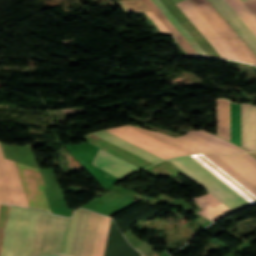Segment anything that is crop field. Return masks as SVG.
I'll use <instances>...</instances> for the list:
<instances>
[{
  "instance_id": "crop-field-1",
  "label": "crop field",
  "mask_w": 256,
  "mask_h": 256,
  "mask_svg": "<svg viewBox=\"0 0 256 256\" xmlns=\"http://www.w3.org/2000/svg\"><path fill=\"white\" fill-rule=\"evenodd\" d=\"M12 162L4 159L0 144V201L51 212L43 190L45 184L40 170L13 162L27 206Z\"/></svg>"
},
{
  "instance_id": "crop-field-2",
  "label": "crop field",
  "mask_w": 256,
  "mask_h": 256,
  "mask_svg": "<svg viewBox=\"0 0 256 256\" xmlns=\"http://www.w3.org/2000/svg\"><path fill=\"white\" fill-rule=\"evenodd\" d=\"M183 173L201 185L210 193L203 196L214 207L223 203L232 211L251 205L230 187L208 172L190 156L178 157L169 160Z\"/></svg>"
},
{
  "instance_id": "crop-field-3",
  "label": "crop field",
  "mask_w": 256,
  "mask_h": 256,
  "mask_svg": "<svg viewBox=\"0 0 256 256\" xmlns=\"http://www.w3.org/2000/svg\"><path fill=\"white\" fill-rule=\"evenodd\" d=\"M39 212L10 207L1 256H29Z\"/></svg>"
},
{
  "instance_id": "crop-field-4",
  "label": "crop field",
  "mask_w": 256,
  "mask_h": 256,
  "mask_svg": "<svg viewBox=\"0 0 256 256\" xmlns=\"http://www.w3.org/2000/svg\"><path fill=\"white\" fill-rule=\"evenodd\" d=\"M126 127L146 136L149 137L183 155H188V154H197V153H204V151L178 139L174 138L172 136L162 134L159 132L147 130V129H142L130 125H126ZM124 126L122 127H117V128H111V129H106L107 131L133 143L136 144L164 159H168L174 156H182Z\"/></svg>"
},
{
  "instance_id": "crop-field-5",
  "label": "crop field",
  "mask_w": 256,
  "mask_h": 256,
  "mask_svg": "<svg viewBox=\"0 0 256 256\" xmlns=\"http://www.w3.org/2000/svg\"><path fill=\"white\" fill-rule=\"evenodd\" d=\"M69 218L40 212L30 256L62 253Z\"/></svg>"
},
{
  "instance_id": "crop-field-6",
  "label": "crop field",
  "mask_w": 256,
  "mask_h": 256,
  "mask_svg": "<svg viewBox=\"0 0 256 256\" xmlns=\"http://www.w3.org/2000/svg\"><path fill=\"white\" fill-rule=\"evenodd\" d=\"M190 1L201 12V14L214 27V29L220 34V36L227 42V44L233 49V51L240 57L242 61L256 64L255 54L248 48V46L241 40V38L233 31V29L226 23V21L219 15V13L212 7V5L207 0H203V1L220 19V21L226 26V28L231 32V34L249 53V55L255 60V62L202 0H190Z\"/></svg>"
},
{
  "instance_id": "crop-field-7",
  "label": "crop field",
  "mask_w": 256,
  "mask_h": 256,
  "mask_svg": "<svg viewBox=\"0 0 256 256\" xmlns=\"http://www.w3.org/2000/svg\"><path fill=\"white\" fill-rule=\"evenodd\" d=\"M179 8L222 58L241 61L239 57L232 51V49L225 43V41L218 35V33L212 28V26L205 20V18L198 12V10L191 4V2L181 5Z\"/></svg>"
},
{
  "instance_id": "crop-field-8",
  "label": "crop field",
  "mask_w": 256,
  "mask_h": 256,
  "mask_svg": "<svg viewBox=\"0 0 256 256\" xmlns=\"http://www.w3.org/2000/svg\"><path fill=\"white\" fill-rule=\"evenodd\" d=\"M100 215L91 211L82 256H90ZM111 219L101 215L91 256H103Z\"/></svg>"
},
{
  "instance_id": "crop-field-9",
  "label": "crop field",
  "mask_w": 256,
  "mask_h": 256,
  "mask_svg": "<svg viewBox=\"0 0 256 256\" xmlns=\"http://www.w3.org/2000/svg\"><path fill=\"white\" fill-rule=\"evenodd\" d=\"M179 138L206 152L218 154H236L246 152V150L203 130L191 131L187 135Z\"/></svg>"
},
{
  "instance_id": "crop-field-10",
  "label": "crop field",
  "mask_w": 256,
  "mask_h": 256,
  "mask_svg": "<svg viewBox=\"0 0 256 256\" xmlns=\"http://www.w3.org/2000/svg\"><path fill=\"white\" fill-rule=\"evenodd\" d=\"M93 164L121 179L140 169L102 149H99Z\"/></svg>"
},
{
  "instance_id": "crop-field-11",
  "label": "crop field",
  "mask_w": 256,
  "mask_h": 256,
  "mask_svg": "<svg viewBox=\"0 0 256 256\" xmlns=\"http://www.w3.org/2000/svg\"><path fill=\"white\" fill-rule=\"evenodd\" d=\"M256 52V36L225 0H210Z\"/></svg>"
},
{
  "instance_id": "crop-field-12",
  "label": "crop field",
  "mask_w": 256,
  "mask_h": 256,
  "mask_svg": "<svg viewBox=\"0 0 256 256\" xmlns=\"http://www.w3.org/2000/svg\"><path fill=\"white\" fill-rule=\"evenodd\" d=\"M242 147L256 151V107L241 105Z\"/></svg>"
},
{
  "instance_id": "crop-field-13",
  "label": "crop field",
  "mask_w": 256,
  "mask_h": 256,
  "mask_svg": "<svg viewBox=\"0 0 256 256\" xmlns=\"http://www.w3.org/2000/svg\"><path fill=\"white\" fill-rule=\"evenodd\" d=\"M218 157L256 186V159L255 158H253L248 153L235 155V156H218Z\"/></svg>"
},
{
  "instance_id": "crop-field-14",
  "label": "crop field",
  "mask_w": 256,
  "mask_h": 256,
  "mask_svg": "<svg viewBox=\"0 0 256 256\" xmlns=\"http://www.w3.org/2000/svg\"><path fill=\"white\" fill-rule=\"evenodd\" d=\"M203 160H205L207 163H209L212 167H214L217 171H219L221 174H223L226 178H228L231 182H233L235 185H237L240 189H242L245 193H247L249 196H251L254 200H256V196L251 193L249 190H247L244 186H242L239 182H237L235 179H233L230 175H228L225 171H223L221 168H219L216 164H214L212 161H210L207 157H205L203 154H199ZM197 155L191 156L195 160H197L200 164H202L204 167H206L209 171H211L213 174H215L218 178H220L222 181H224L227 185H229L231 188H233L236 192H238L240 195H242L245 199H247L252 204L256 203L251 197H249L247 194H245L242 190H240L237 186H235L233 183H231L228 179H226L223 175H221L219 172H217L214 168H212L209 164H207L205 161H203L200 157Z\"/></svg>"
},
{
  "instance_id": "crop-field-15",
  "label": "crop field",
  "mask_w": 256,
  "mask_h": 256,
  "mask_svg": "<svg viewBox=\"0 0 256 256\" xmlns=\"http://www.w3.org/2000/svg\"><path fill=\"white\" fill-rule=\"evenodd\" d=\"M82 138H84V139H86V140H88V141H90V142H92V143H94V144H96V145H98V146H100V147H102V148H104V149H106V150H108V151H110V152H112V153H114V154H116V155H118V156H120V157L138 165V166H140V167H142V168L153 164V163H151V162H149V161H147V160H145V159H143V158H141V157H139L135 154H132V153H130V152L114 145V144H111V143H109V142H107V141H105V140H103V139H101V138H99V137H97L93 134H88V135H86Z\"/></svg>"
},
{
  "instance_id": "crop-field-16",
  "label": "crop field",
  "mask_w": 256,
  "mask_h": 256,
  "mask_svg": "<svg viewBox=\"0 0 256 256\" xmlns=\"http://www.w3.org/2000/svg\"><path fill=\"white\" fill-rule=\"evenodd\" d=\"M93 134H95V135H97V136H99V137H101V138H103V139H105V140H107L111 143H114V144H116V145H118V146L132 152V153H135V154H137V155H139V156H141V157H143V158H145V159H147V160H149L153 163L164 160V159H162V158H160V157H158V156H156V155H154V154H152V153H150V152H148V151H146V150H144V149H142V148H140L136 145H133V144H131V143H129V142H127V141H125V140H123V139L105 131V130L98 131V132H95Z\"/></svg>"
},
{
  "instance_id": "crop-field-17",
  "label": "crop field",
  "mask_w": 256,
  "mask_h": 256,
  "mask_svg": "<svg viewBox=\"0 0 256 256\" xmlns=\"http://www.w3.org/2000/svg\"><path fill=\"white\" fill-rule=\"evenodd\" d=\"M89 213V210L80 209L72 249L70 253L71 256H81Z\"/></svg>"
},
{
  "instance_id": "crop-field-18",
  "label": "crop field",
  "mask_w": 256,
  "mask_h": 256,
  "mask_svg": "<svg viewBox=\"0 0 256 256\" xmlns=\"http://www.w3.org/2000/svg\"><path fill=\"white\" fill-rule=\"evenodd\" d=\"M142 1L165 24V26L175 35L177 41L181 44V46L186 50V52L189 55L199 56L196 53V51L189 45V43L182 37V35L175 29V27L168 21V19L161 13V11L154 5V3L151 0H142Z\"/></svg>"
},
{
  "instance_id": "crop-field-19",
  "label": "crop field",
  "mask_w": 256,
  "mask_h": 256,
  "mask_svg": "<svg viewBox=\"0 0 256 256\" xmlns=\"http://www.w3.org/2000/svg\"><path fill=\"white\" fill-rule=\"evenodd\" d=\"M217 135L229 140L228 101L217 100Z\"/></svg>"
},
{
  "instance_id": "crop-field-20",
  "label": "crop field",
  "mask_w": 256,
  "mask_h": 256,
  "mask_svg": "<svg viewBox=\"0 0 256 256\" xmlns=\"http://www.w3.org/2000/svg\"><path fill=\"white\" fill-rule=\"evenodd\" d=\"M194 201L203 209L202 211L198 212L201 215L207 217L208 219L215 221L219 219L220 217L232 212L229 210L226 206L223 204L214 208L209 203H207L204 199L201 197L193 198Z\"/></svg>"
},
{
  "instance_id": "crop-field-21",
  "label": "crop field",
  "mask_w": 256,
  "mask_h": 256,
  "mask_svg": "<svg viewBox=\"0 0 256 256\" xmlns=\"http://www.w3.org/2000/svg\"><path fill=\"white\" fill-rule=\"evenodd\" d=\"M230 6L237 12V14L244 20V22L256 34V18L245 7L240 0H226Z\"/></svg>"
},
{
  "instance_id": "crop-field-22",
  "label": "crop field",
  "mask_w": 256,
  "mask_h": 256,
  "mask_svg": "<svg viewBox=\"0 0 256 256\" xmlns=\"http://www.w3.org/2000/svg\"><path fill=\"white\" fill-rule=\"evenodd\" d=\"M155 4L157 2V4L160 6L162 5L166 10L167 8L161 3L160 0H152ZM156 4V5H157ZM157 5V7L164 13V15L172 22V24L180 31V33L188 40V42L191 44V45H196V46H199L196 41L187 33V31L179 24V22L173 17V15L167 10V12L177 21V23L182 27H180L176 21L166 12V10L161 6L159 7ZM196 46H193L194 49L199 53L200 56H208L205 51L201 48V47H196Z\"/></svg>"
},
{
  "instance_id": "crop-field-23",
  "label": "crop field",
  "mask_w": 256,
  "mask_h": 256,
  "mask_svg": "<svg viewBox=\"0 0 256 256\" xmlns=\"http://www.w3.org/2000/svg\"><path fill=\"white\" fill-rule=\"evenodd\" d=\"M206 155L208 158H210L213 162H215L218 166H220L222 169H224L227 173H229L231 176H233L236 180H238L241 184H243L245 187H247L250 191H252L255 195H256V187H254L252 184H250L247 180H245L242 176H240L237 172H235L233 169H231L228 165H226L223 161H221L218 157H216L215 155H210V154H204ZM205 156V157H206ZM209 159V160H210ZM210 160V161H211ZM214 163V164H215ZM219 167V168H220ZM223 170V171H224ZM228 174V175H229ZM233 178V179H234ZM237 181V182H238ZM242 185V186H243ZM246 188V189H247ZM247 189V190H248ZM251 192V193H252Z\"/></svg>"
},
{
  "instance_id": "crop-field-24",
  "label": "crop field",
  "mask_w": 256,
  "mask_h": 256,
  "mask_svg": "<svg viewBox=\"0 0 256 256\" xmlns=\"http://www.w3.org/2000/svg\"><path fill=\"white\" fill-rule=\"evenodd\" d=\"M152 171H154L159 176H175L179 172H181L179 169H177L172 163H170L168 160L158 163L152 167H149Z\"/></svg>"
},
{
  "instance_id": "crop-field-25",
  "label": "crop field",
  "mask_w": 256,
  "mask_h": 256,
  "mask_svg": "<svg viewBox=\"0 0 256 256\" xmlns=\"http://www.w3.org/2000/svg\"><path fill=\"white\" fill-rule=\"evenodd\" d=\"M10 205L1 203L0 205V254L7 223V217Z\"/></svg>"
},
{
  "instance_id": "crop-field-26",
  "label": "crop field",
  "mask_w": 256,
  "mask_h": 256,
  "mask_svg": "<svg viewBox=\"0 0 256 256\" xmlns=\"http://www.w3.org/2000/svg\"><path fill=\"white\" fill-rule=\"evenodd\" d=\"M78 212H79V210L71 217V220H70L68 236H67V241H66V246H65V251H64V253L68 254V255H69L70 249H71V244H72V239H73L74 230H75V226H76Z\"/></svg>"
},
{
  "instance_id": "crop-field-27",
  "label": "crop field",
  "mask_w": 256,
  "mask_h": 256,
  "mask_svg": "<svg viewBox=\"0 0 256 256\" xmlns=\"http://www.w3.org/2000/svg\"><path fill=\"white\" fill-rule=\"evenodd\" d=\"M146 13L150 17V19L155 23V25L159 28L161 34H172L152 12Z\"/></svg>"
},
{
  "instance_id": "crop-field-28",
  "label": "crop field",
  "mask_w": 256,
  "mask_h": 256,
  "mask_svg": "<svg viewBox=\"0 0 256 256\" xmlns=\"http://www.w3.org/2000/svg\"><path fill=\"white\" fill-rule=\"evenodd\" d=\"M248 9L256 6V0H241ZM250 11L253 13V15L256 17V7L250 9Z\"/></svg>"
},
{
  "instance_id": "crop-field-29",
  "label": "crop field",
  "mask_w": 256,
  "mask_h": 256,
  "mask_svg": "<svg viewBox=\"0 0 256 256\" xmlns=\"http://www.w3.org/2000/svg\"><path fill=\"white\" fill-rule=\"evenodd\" d=\"M58 256H65V255H58Z\"/></svg>"
},
{
  "instance_id": "crop-field-30",
  "label": "crop field",
  "mask_w": 256,
  "mask_h": 256,
  "mask_svg": "<svg viewBox=\"0 0 256 256\" xmlns=\"http://www.w3.org/2000/svg\"><path fill=\"white\" fill-rule=\"evenodd\" d=\"M54 256H57V255H54Z\"/></svg>"
}]
</instances>
